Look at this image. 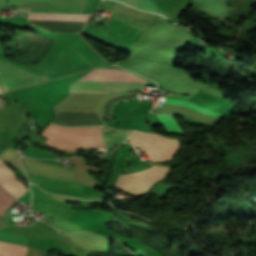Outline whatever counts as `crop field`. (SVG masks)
Here are the masks:
<instances>
[{
    "label": "crop field",
    "instance_id": "obj_1",
    "mask_svg": "<svg viewBox=\"0 0 256 256\" xmlns=\"http://www.w3.org/2000/svg\"><path fill=\"white\" fill-rule=\"evenodd\" d=\"M108 128L106 127H60L49 124L41 133L49 138L45 143L67 150L75 148L102 147L106 144Z\"/></svg>",
    "mask_w": 256,
    "mask_h": 256
},
{
    "label": "crop field",
    "instance_id": "obj_2",
    "mask_svg": "<svg viewBox=\"0 0 256 256\" xmlns=\"http://www.w3.org/2000/svg\"><path fill=\"white\" fill-rule=\"evenodd\" d=\"M79 80L146 82L144 79L121 69H97ZM94 81H76L70 85V91L121 93L146 86V83Z\"/></svg>",
    "mask_w": 256,
    "mask_h": 256
},
{
    "label": "crop field",
    "instance_id": "obj_3",
    "mask_svg": "<svg viewBox=\"0 0 256 256\" xmlns=\"http://www.w3.org/2000/svg\"><path fill=\"white\" fill-rule=\"evenodd\" d=\"M53 78L0 59L2 93Z\"/></svg>",
    "mask_w": 256,
    "mask_h": 256
},
{
    "label": "crop field",
    "instance_id": "obj_4",
    "mask_svg": "<svg viewBox=\"0 0 256 256\" xmlns=\"http://www.w3.org/2000/svg\"><path fill=\"white\" fill-rule=\"evenodd\" d=\"M167 170V167L152 165L148 169L120 174L114 186L130 194L142 195L154 182L162 179Z\"/></svg>",
    "mask_w": 256,
    "mask_h": 256
},
{
    "label": "crop field",
    "instance_id": "obj_5",
    "mask_svg": "<svg viewBox=\"0 0 256 256\" xmlns=\"http://www.w3.org/2000/svg\"><path fill=\"white\" fill-rule=\"evenodd\" d=\"M20 160L27 173L42 175L45 177L59 179V180H66V181L77 182L78 180L79 173L77 172L52 166V165L35 161L26 157H21Z\"/></svg>",
    "mask_w": 256,
    "mask_h": 256
},
{
    "label": "crop field",
    "instance_id": "obj_6",
    "mask_svg": "<svg viewBox=\"0 0 256 256\" xmlns=\"http://www.w3.org/2000/svg\"><path fill=\"white\" fill-rule=\"evenodd\" d=\"M0 185L3 186L16 199L26 191L22 180L18 179L15 172L7 168L0 160Z\"/></svg>",
    "mask_w": 256,
    "mask_h": 256
},
{
    "label": "crop field",
    "instance_id": "obj_7",
    "mask_svg": "<svg viewBox=\"0 0 256 256\" xmlns=\"http://www.w3.org/2000/svg\"><path fill=\"white\" fill-rule=\"evenodd\" d=\"M178 145V140L162 137L157 134L155 145L151 152L152 162L171 160Z\"/></svg>",
    "mask_w": 256,
    "mask_h": 256
},
{
    "label": "crop field",
    "instance_id": "obj_8",
    "mask_svg": "<svg viewBox=\"0 0 256 256\" xmlns=\"http://www.w3.org/2000/svg\"><path fill=\"white\" fill-rule=\"evenodd\" d=\"M89 16L28 14L27 20L86 22Z\"/></svg>",
    "mask_w": 256,
    "mask_h": 256
},
{
    "label": "crop field",
    "instance_id": "obj_9",
    "mask_svg": "<svg viewBox=\"0 0 256 256\" xmlns=\"http://www.w3.org/2000/svg\"><path fill=\"white\" fill-rule=\"evenodd\" d=\"M154 135L152 133L135 131L131 133V143L135 148L142 147L144 151H150L153 145Z\"/></svg>",
    "mask_w": 256,
    "mask_h": 256
},
{
    "label": "crop field",
    "instance_id": "obj_10",
    "mask_svg": "<svg viewBox=\"0 0 256 256\" xmlns=\"http://www.w3.org/2000/svg\"><path fill=\"white\" fill-rule=\"evenodd\" d=\"M29 180L40 184L44 186H49V187H57V188H79L82 189V185L78 183H73V182H63V181H57V180H52L40 176H32L28 175Z\"/></svg>",
    "mask_w": 256,
    "mask_h": 256
},
{
    "label": "crop field",
    "instance_id": "obj_11",
    "mask_svg": "<svg viewBox=\"0 0 256 256\" xmlns=\"http://www.w3.org/2000/svg\"><path fill=\"white\" fill-rule=\"evenodd\" d=\"M190 98H191V97H187V96L170 95V96H167V97H166L165 102L189 106V107H192V108H194V109H196V110H199V111H202V112H204V113H207V114H210V115H214V116H217V117H219V116L222 115L221 113L209 111V110H206V109H204V108H201V107H199V106H196V105L190 103V102H189Z\"/></svg>",
    "mask_w": 256,
    "mask_h": 256
},
{
    "label": "crop field",
    "instance_id": "obj_12",
    "mask_svg": "<svg viewBox=\"0 0 256 256\" xmlns=\"http://www.w3.org/2000/svg\"><path fill=\"white\" fill-rule=\"evenodd\" d=\"M14 201H16V200L10 194H8L2 187H0V215Z\"/></svg>",
    "mask_w": 256,
    "mask_h": 256
},
{
    "label": "crop field",
    "instance_id": "obj_13",
    "mask_svg": "<svg viewBox=\"0 0 256 256\" xmlns=\"http://www.w3.org/2000/svg\"><path fill=\"white\" fill-rule=\"evenodd\" d=\"M168 132H182L171 116L157 114Z\"/></svg>",
    "mask_w": 256,
    "mask_h": 256
},
{
    "label": "crop field",
    "instance_id": "obj_14",
    "mask_svg": "<svg viewBox=\"0 0 256 256\" xmlns=\"http://www.w3.org/2000/svg\"><path fill=\"white\" fill-rule=\"evenodd\" d=\"M0 241L24 246L27 238L22 236L8 235L0 232Z\"/></svg>",
    "mask_w": 256,
    "mask_h": 256
},
{
    "label": "crop field",
    "instance_id": "obj_15",
    "mask_svg": "<svg viewBox=\"0 0 256 256\" xmlns=\"http://www.w3.org/2000/svg\"><path fill=\"white\" fill-rule=\"evenodd\" d=\"M127 1L130 2L131 4L138 3L137 0H127Z\"/></svg>",
    "mask_w": 256,
    "mask_h": 256
}]
</instances>
